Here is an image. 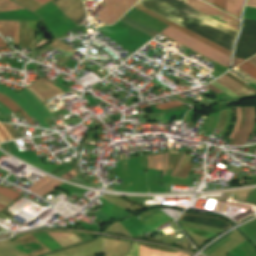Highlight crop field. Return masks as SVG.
<instances>
[{"instance_id":"crop-field-1","label":"crop field","mask_w":256,"mask_h":256,"mask_svg":"<svg viewBox=\"0 0 256 256\" xmlns=\"http://www.w3.org/2000/svg\"><path fill=\"white\" fill-rule=\"evenodd\" d=\"M0 92L8 96L14 102H16L26 113L29 117L33 116L37 122L40 124L41 127L49 128L45 121L41 118L52 116L50 111L43 105V103L36 98L33 94H31L26 88L20 91L17 95L16 93L12 92L11 90L1 87ZM37 110L39 115L30 104Z\"/></svg>"},{"instance_id":"crop-field-2","label":"crop field","mask_w":256,"mask_h":256,"mask_svg":"<svg viewBox=\"0 0 256 256\" xmlns=\"http://www.w3.org/2000/svg\"><path fill=\"white\" fill-rule=\"evenodd\" d=\"M160 33H162V34L182 43L183 45L205 55L206 57L228 67L230 57L182 34L181 32L168 26Z\"/></svg>"},{"instance_id":"crop-field-3","label":"crop field","mask_w":256,"mask_h":256,"mask_svg":"<svg viewBox=\"0 0 256 256\" xmlns=\"http://www.w3.org/2000/svg\"><path fill=\"white\" fill-rule=\"evenodd\" d=\"M84 1V0H83ZM137 0H103L107 3L96 19L112 24Z\"/></svg>"},{"instance_id":"crop-field-4","label":"crop field","mask_w":256,"mask_h":256,"mask_svg":"<svg viewBox=\"0 0 256 256\" xmlns=\"http://www.w3.org/2000/svg\"><path fill=\"white\" fill-rule=\"evenodd\" d=\"M183 3L209 15L210 17L238 30L239 29V21L214 9L213 7L199 1V0H180Z\"/></svg>"},{"instance_id":"crop-field-5","label":"crop field","mask_w":256,"mask_h":256,"mask_svg":"<svg viewBox=\"0 0 256 256\" xmlns=\"http://www.w3.org/2000/svg\"><path fill=\"white\" fill-rule=\"evenodd\" d=\"M134 8H136L137 10H139V11H141V12H143V13H145V14H147V15H149V16H151V17H153V18H155V19H157V20H159V21H161V22H163V23H165V24H167V25H169V26H171V27H173V28L191 36V37H193V38H195V39H197V40H199V41H201L202 43H204V44H206V45H208V46H210V47H212V48H214V49H216V50H218V51H220V52H222V53H224L228 56L231 55V52H229V51H227V50H225V49H223V48H221V47H219V46H217V45H215V44H213V43H211V42H209V41H207L203 38H201L200 36H198V35L190 32V31H188V30H186V29L168 21L167 19H165V18H163V17H161V16H159V15H157V14H155V13L137 5V4L134 6Z\"/></svg>"},{"instance_id":"crop-field-6","label":"crop field","mask_w":256,"mask_h":256,"mask_svg":"<svg viewBox=\"0 0 256 256\" xmlns=\"http://www.w3.org/2000/svg\"><path fill=\"white\" fill-rule=\"evenodd\" d=\"M61 184L63 183L45 176L41 180H39L37 183L29 187L27 190L42 197Z\"/></svg>"},{"instance_id":"crop-field-7","label":"crop field","mask_w":256,"mask_h":256,"mask_svg":"<svg viewBox=\"0 0 256 256\" xmlns=\"http://www.w3.org/2000/svg\"><path fill=\"white\" fill-rule=\"evenodd\" d=\"M56 85L52 82H49L43 78H40L29 85L32 89L36 90L43 98L56 93L62 89L54 87Z\"/></svg>"},{"instance_id":"crop-field-8","label":"crop field","mask_w":256,"mask_h":256,"mask_svg":"<svg viewBox=\"0 0 256 256\" xmlns=\"http://www.w3.org/2000/svg\"><path fill=\"white\" fill-rule=\"evenodd\" d=\"M245 110H246V122L235 145H244L253 128V123H254L253 107H245Z\"/></svg>"},{"instance_id":"crop-field-9","label":"crop field","mask_w":256,"mask_h":256,"mask_svg":"<svg viewBox=\"0 0 256 256\" xmlns=\"http://www.w3.org/2000/svg\"><path fill=\"white\" fill-rule=\"evenodd\" d=\"M8 242L11 243L13 246H16V245L22 246V245L37 242L38 244H40L43 247V248L35 250V251L31 250L29 247H26L24 249L29 248L33 253H31L29 255H26L24 252H22V254L25 255V256H33V255H37V254H40V253H43V252L50 251L44 244H42L32 234L20 237V238L14 240V241L8 240Z\"/></svg>"},{"instance_id":"crop-field-10","label":"crop field","mask_w":256,"mask_h":256,"mask_svg":"<svg viewBox=\"0 0 256 256\" xmlns=\"http://www.w3.org/2000/svg\"><path fill=\"white\" fill-rule=\"evenodd\" d=\"M18 25L19 21H0V33L4 37L9 35L14 43H18Z\"/></svg>"},{"instance_id":"crop-field-11","label":"crop field","mask_w":256,"mask_h":256,"mask_svg":"<svg viewBox=\"0 0 256 256\" xmlns=\"http://www.w3.org/2000/svg\"><path fill=\"white\" fill-rule=\"evenodd\" d=\"M47 234L51 236L62 247L81 242L79 238H77L74 234H71V233H47Z\"/></svg>"},{"instance_id":"crop-field-12","label":"crop field","mask_w":256,"mask_h":256,"mask_svg":"<svg viewBox=\"0 0 256 256\" xmlns=\"http://www.w3.org/2000/svg\"><path fill=\"white\" fill-rule=\"evenodd\" d=\"M119 21L135 28L136 30H138V31H140V32L152 37V38L159 33V32H157V31H155V30H153V29H151V28H149V27H147V26H145V25H143V24L127 17V16H125V15Z\"/></svg>"},{"instance_id":"crop-field-13","label":"crop field","mask_w":256,"mask_h":256,"mask_svg":"<svg viewBox=\"0 0 256 256\" xmlns=\"http://www.w3.org/2000/svg\"><path fill=\"white\" fill-rule=\"evenodd\" d=\"M140 256H188L183 253H172V252H164L158 250H151L147 248H143L139 246Z\"/></svg>"},{"instance_id":"crop-field-14","label":"crop field","mask_w":256,"mask_h":256,"mask_svg":"<svg viewBox=\"0 0 256 256\" xmlns=\"http://www.w3.org/2000/svg\"><path fill=\"white\" fill-rule=\"evenodd\" d=\"M0 101L2 103H4L13 113L19 111L27 119V121L30 123V125H34V123L31 121V119L12 100H10L6 96L0 94Z\"/></svg>"},{"instance_id":"crop-field-15","label":"crop field","mask_w":256,"mask_h":256,"mask_svg":"<svg viewBox=\"0 0 256 256\" xmlns=\"http://www.w3.org/2000/svg\"><path fill=\"white\" fill-rule=\"evenodd\" d=\"M244 0H227L226 12L240 17L241 7Z\"/></svg>"},{"instance_id":"crop-field-16","label":"crop field","mask_w":256,"mask_h":256,"mask_svg":"<svg viewBox=\"0 0 256 256\" xmlns=\"http://www.w3.org/2000/svg\"><path fill=\"white\" fill-rule=\"evenodd\" d=\"M218 80H220V81H222V82L228 84L229 86H231V87L237 89L238 91H240V92H242V93H244V94H246V95H251V94H252V93L249 92L247 89H245L244 87H242V86L236 84L237 82L235 83L234 81H232L229 77H227V76H225V75L222 76V77H221L220 79H218Z\"/></svg>"},{"instance_id":"crop-field-17","label":"crop field","mask_w":256,"mask_h":256,"mask_svg":"<svg viewBox=\"0 0 256 256\" xmlns=\"http://www.w3.org/2000/svg\"><path fill=\"white\" fill-rule=\"evenodd\" d=\"M22 9L19 5L13 3L10 0H0V11Z\"/></svg>"},{"instance_id":"crop-field-18","label":"crop field","mask_w":256,"mask_h":256,"mask_svg":"<svg viewBox=\"0 0 256 256\" xmlns=\"http://www.w3.org/2000/svg\"><path fill=\"white\" fill-rule=\"evenodd\" d=\"M237 67H239L240 69H242L243 71H245L250 76L256 79V67L251 65L249 62L246 61Z\"/></svg>"},{"instance_id":"crop-field-19","label":"crop field","mask_w":256,"mask_h":256,"mask_svg":"<svg viewBox=\"0 0 256 256\" xmlns=\"http://www.w3.org/2000/svg\"><path fill=\"white\" fill-rule=\"evenodd\" d=\"M0 194L14 200L16 199L18 196H20V194L6 188V187H0ZM15 201V200H14Z\"/></svg>"},{"instance_id":"crop-field-20","label":"crop field","mask_w":256,"mask_h":256,"mask_svg":"<svg viewBox=\"0 0 256 256\" xmlns=\"http://www.w3.org/2000/svg\"><path fill=\"white\" fill-rule=\"evenodd\" d=\"M163 154L159 156H152V168L162 170Z\"/></svg>"},{"instance_id":"crop-field-21","label":"crop field","mask_w":256,"mask_h":256,"mask_svg":"<svg viewBox=\"0 0 256 256\" xmlns=\"http://www.w3.org/2000/svg\"><path fill=\"white\" fill-rule=\"evenodd\" d=\"M49 46H52V47H54V48H60V49H62V50H64V51H66V52H73V53H75V52H77V51H75V50H73V49H71L70 47H68V46H66V45H64L63 43H61V42H59V41H57V40H55L52 44H50ZM70 52V54H73V53H71Z\"/></svg>"},{"instance_id":"crop-field-22","label":"crop field","mask_w":256,"mask_h":256,"mask_svg":"<svg viewBox=\"0 0 256 256\" xmlns=\"http://www.w3.org/2000/svg\"><path fill=\"white\" fill-rule=\"evenodd\" d=\"M180 105H184V104L175 100V101L167 102V103H164V104H161V105H156L154 107L159 108V109H169V108L180 106Z\"/></svg>"},{"instance_id":"crop-field-23","label":"crop field","mask_w":256,"mask_h":256,"mask_svg":"<svg viewBox=\"0 0 256 256\" xmlns=\"http://www.w3.org/2000/svg\"><path fill=\"white\" fill-rule=\"evenodd\" d=\"M0 114L3 115L7 121H11L6 115L12 114V112L0 102ZM12 122V121H11Z\"/></svg>"},{"instance_id":"crop-field-24","label":"crop field","mask_w":256,"mask_h":256,"mask_svg":"<svg viewBox=\"0 0 256 256\" xmlns=\"http://www.w3.org/2000/svg\"><path fill=\"white\" fill-rule=\"evenodd\" d=\"M95 216H97L104 224L111 221L102 211L98 210L93 213Z\"/></svg>"},{"instance_id":"crop-field-25","label":"crop field","mask_w":256,"mask_h":256,"mask_svg":"<svg viewBox=\"0 0 256 256\" xmlns=\"http://www.w3.org/2000/svg\"><path fill=\"white\" fill-rule=\"evenodd\" d=\"M245 10H247V11H253V12H256V9H254V8H248V7H246V9H245ZM247 11H245L244 15H246V16L256 17V13H253V12H247ZM246 16H244L243 18H245V19H251V20H256V18L246 17Z\"/></svg>"},{"instance_id":"crop-field-26","label":"crop field","mask_w":256,"mask_h":256,"mask_svg":"<svg viewBox=\"0 0 256 256\" xmlns=\"http://www.w3.org/2000/svg\"><path fill=\"white\" fill-rule=\"evenodd\" d=\"M237 110V121H236V124L234 126V129L232 131V133L230 134L229 138L232 139V137L234 136L238 126H239V119H240V108H236Z\"/></svg>"},{"instance_id":"crop-field-27","label":"crop field","mask_w":256,"mask_h":256,"mask_svg":"<svg viewBox=\"0 0 256 256\" xmlns=\"http://www.w3.org/2000/svg\"><path fill=\"white\" fill-rule=\"evenodd\" d=\"M226 0H213V5L225 10Z\"/></svg>"},{"instance_id":"crop-field-28","label":"crop field","mask_w":256,"mask_h":256,"mask_svg":"<svg viewBox=\"0 0 256 256\" xmlns=\"http://www.w3.org/2000/svg\"><path fill=\"white\" fill-rule=\"evenodd\" d=\"M76 175H78V174L73 169V170L69 171L68 173L64 174L63 176H61L60 178H64V179L69 180V179L73 178Z\"/></svg>"},{"instance_id":"crop-field-29","label":"crop field","mask_w":256,"mask_h":256,"mask_svg":"<svg viewBox=\"0 0 256 256\" xmlns=\"http://www.w3.org/2000/svg\"><path fill=\"white\" fill-rule=\"evenodd\" d=\"M216 81H217L219 84H221L222 86H224V87L228 88L229 90L233 91V92H234L235 94H237L239 97L245 96V95L239 93L237 90H235V89H233V88L227 86L226 84H224V83H222V82H220V81H218V80H216Z\"/></svg>"},{"instance_id":"crop-field-30","label":"crop field","mask_w":256,"mask_h":256,"mask_svg":"<svg viewBox=\"0 0 256 256\" xmlns=\"http://www.w3.org/2000/svg\"><path fill=\"white\" fill-rule=\"evenodd\" d=\"M11 202H12V200L0 195V203L8 206Z\"/></svg>"},{"instance_id":"crop-field-31","label":"crop field","mask_w":256,"mask_h":256,"mask_svg":"<svg viewBox=\"0 0 256 256\" xmlns=\"http://www.w3.org/2000/svg\"><path fill=\"white\" fill-rule=\"evenodd\" d=\"M132 254H133V256H139V250H138L137 245H134V247L132 249ZM132 254L130 253L128 256H132Z\"/></svg>"},{"instance_id":"crop-field-32","label":"crop field","mask_w":256,"mask_h":256,"mask_svg":"<svg viewBox=\"0 0 256 256\" xmlns=\"http://www.w3.org/2000/svg\"><path fill=\"white\" fill-rule=\"evenodd\" d=\"M30 92H32L36 97H38L42 102H44V99L35 91H33L29 86L26 87Z\"/></svg>"},{"instance_id":"crop-field-33","label":"crop field","mask_w":256,"mask_h":256,"mask_svg":"<svg viewBox=\"0 0 256 256\" xmlns=\"http://www.w3.org/2000/svg\"><path fill=\"white\" fill-rule=\"evenodd\" d=\"M205 87H207V88H209L210 90H212V91H214L215 93H220V92H222V91H220V90H218L217 88H215L214 86H212V85H207V86H205Z\"/></svg>"},{"instance_id":"crop-field-34","label":"crop field","mask_w":256,"mask_h":256,"mask_svg":"<svg viewBox=\"0 0 256 256\" xmlns=\"http://www.w3.org/2000/svg\"><path fill=\"white\" fill-rule=\"evenodd\" d=\"M246 5L256 7V0H248Z\"/></svg>"},{"instance_id":"crop-field-35","label":"crop field","mask_w":256,"mask_h":256,"mask_svg":"<svg viewBox=\"0 0 256 256\" xmlns=\"http://www.w3.org/2000/svg\"><path fill=\"white\" fill-rule=\"evenodd\" d=\"M0 127L2 128V130L7 134L9 140H12V137L10 136V134L8 133V131L6 130V128L0 123Z\"/></svg>"},{"instance_id":"crop-field-36","label":"crop field","mask_w":256,"mask_h":256,"mask_svg":"<svg viewBox=\"0 0 256 256\" xmlns=\"http://www.w3.org/2000/svg\"><path fill=\"white\" fill-rule=\"evenodd\" d=\"M241 62H243V60H239V59H235V58H234L233 66H232V67H234V66L240 64Z\"/></svg>"},{"instance_id":"crop-field-37","label":"crop field","mask_w":256,"mask_h":256,"mask_svg":"<svg viewBox=\"0 0 256 256\" xmlns=\"http://www.w3.org/2000/svg\"><path fill=\"white\" fill-rule=\"evenodd\" d=\"M247 61H249L251 64H253L254 66H256V56L255 57H253V58H251V59H249V60H247Z\"/></svg>"},{"instance_id":"crop-field-38","label":"crop field","mask_w":256,"mask_h":256,"mask_svg":"<svg viewBox=\"0 0 256 256\" xmlns=\"http://www.w3.org/2000/svg\"><path fill=\"white\" fill-rule=\"evenodd\" d=\"M167 157H168V152L165 153V165H164V173L166 172V166H167Z\"/></svg>"},{"instance_id":"crop-field-39","label":"crop field","mask_w":256,"mask_h":256,"mask_svg":"<svg viewBox=\"0 0 256 256\" xmlns=\"http://www.w3.org/2000/svg\"><path fill=\"white\" fill-rule=\"evenodd\" d=\"M62 93H64V92L61 91V92H59V93L53 94V95H51V96L45 98V100H47V99H49V98H52V97H54V96H57V95H59V94H62Z\"/></svg>"},{"instance_id":"crop-field-40","label":"crop field","mask_w":256,"mask_h":256,"mask_svg":"<svg viewBox=\"0 0 256 256\" xmlns=\"http://www.w3.org/2000/svg\"><path fill=\"white\" fill-rule=\"evenodd\" d=\"M35 1H37L38 3H40V4H45L46 2H48L49 0H35Z\"/></svg>"},{"instance_id":"crop-field-41","label":"crop field","mask_w":256,"mask_h":256,"mask_svg":"<svg viewBox=\"0 0 256 256\" xmlns=\"http://www.w3.org/2000/svg\"><path fill=\"white\" fill-rule=\"evenodd\" d=\"M148 168H151V156H148Z\"/></svg>"},{"instance_id":"crop-field-42","label":"crop field","mask_w":256,"mask_h":256,"mask_svg":"<svg viewBox=\"0 0 256 256\" xmlns=\"http://www.w3.org/2000/svg\"><path fill=\"white\" fill-rule=\"evenodd\" d=\"M1 134L4 136L5 140L8 141V138L6 137L5 133L0 129Z\"/></svg>"},{"instance_id":"crop-field-43","label":"crop field","mask_w":256,"mask_h":256,"mask_svg":"<svg viewBox=\"0 0 256 256\" xmlns=\"http://www.w3.org/2000/svg\"><path fill=\"white\" fill-rule=\"evenodd\" d=\"M186 215V214H185ZM184 216V215H183ZM183 216H181V218L183 217ZM205 217H207V216H205ZM181 218H180V220H181ZM210 218H216V217H210ZM216 219H221V218H216ZM221 220H223V219H221ZM225 221V220H224ZM227 222V221H226ZM229 227H231V225L229 224ZM228 228V227H227ZM225 229V228H224Z\"/></svg>"},{"instance_id":"crop-field-44","label":"crop field","mask_w":256,"mask_h":256,"mask_svg":"<svg viewBox=\"0 0 256 256\" xmlns=\"http://www.w3.org/2000/svg\"><path fill=\"white\" fill-rule=\"evenodd\" d=\"M184 154H185V152H184ZM184 154H183V156H184ZM183 156H182V158H183ZM182 158H181V160H182ZM181 160H180V162H181ZM180 162H179V164H180ZM179 164H178V165H179ZM178 165H177V167H178ZM177 167H176V169H177ZM176 169H175V171H176ZM175 171H174V173H175ZM174 173H173V175H174ZM173 175H172V176H173Z\"/></svg>"},{"instance_id":"crop-field-45","label":"crop field","mask_w":256,"mask_h":256,"mask_svg":"<svg viewBox=\"0 0 256 256\" xmlns=\"http://www.w3.org/2000/svg\"><path fill=\"white\" fill-rule=\"evenodd\" d=\"M0 142H4V139L1 134H0Z\"/></svg>"},{"instance_id":"crop-field-46","label":"crop field","mask_w":256,"mask_h":256,"mask_svg":"<svg viewBox=\"0 0 256 256\" xmlns=\"http://www.w3.org/2000/svg\"><path fill=\"white\" fill-rule=\"evenodd\" d=\"M0 208L4 209V208H6V206L0 204Z\"/></svg>"},{"instance_id":"crop-field-47","label":"crop field","mask_w":256,"mask_h":256,"mask_svg":"<svg viewBox=\"0 0 256 256\" xmlns=\"http://www.w3.org/2000/svg\"><path fill=\"white\" fill-rule=\"evenodd\" d=\"M0 47H6V45H0Z\"/></svg>"},{"instance_id":"crop-field-48","label":"crop field","mask_w":256,"mask_h":256,"mask_svg":"<svg viewBox=\"0 0 256 256\" xmlns=\"http://www.w3.org/2000/svg\"><path fill=\"white\" fill-rule=\"evenodd\" d=\"M206 1H208V2L212 3V0H206Z\"/></svg>"},{"instance_id":"crop-field-49","label":"crop field","mask_w":256,"mask_h":256,"mask_svg":"<svg viewBox=\"0 0 256 256\" xmlns=\"http://www.w3.org/2000/svg\"><path fill=\"white\" fill-rule=\"evenodd\" d=\"M0 42H3V41L0 39Z\"/></svg>"},{"instance_id":"crop-field-50","label":"crop field","mask_w":256,"mask_h":256,"mask_svg":"<svg viewBox=\"0 0 256 256\" xmlns=\"http://www.w3.org/2000/svg\"><path fill=\"white\" fill-rule=\"evenodd\" d=\"M2 209H0V211H1Z\"/></svg>"}]
</instances>
